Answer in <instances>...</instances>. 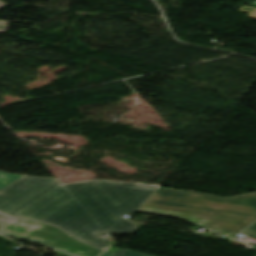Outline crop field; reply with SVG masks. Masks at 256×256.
I'll list each match as a JSON object with an SVG mask.
<instances>
[{
	"label": "crop field",
	"mask_w": 256,
	"mask_h": 256,
	"mask_svg": "<svg viewBox=\"0 0 256 256\" xmlns=\"http://www.w3.org/2000/svg\"><path fill=\"white\" fill-rule=\"evenodd\" d=\"M0 214L60 228L70 237L105 250L106 232L56 179L23 176L0 191Z\"/></svg>",
	"instance_id": "1"
},
{
	"label": "crop field",
	"mask_w": 256,
	"mask_h": 256,
	"mask_svg": "<svg viewBox=\"0 0 256 256\" xmlns=\"http://www.w3.org/2000/svg\"><path fill=\"white\" fill-rule=\"evenodd\" d=\"M137 211L175 216L235 235L256 219V193L222 199L159 188Z\"/></svg>",
	"instance_id": "2"
},
{
	"label": "crop field",
	"mask_w": 256,
	"mask_h": 256,
	"mask_svg": "<svg viewBox=\"0 0 256 256\" xmlns=\"http://www.w3.org/2000/svg\"><path fill=\"white\" fill-rule=\"evenodd\" d=\"M64 186L108 233L120 234L138 228L122 215L133 214L155 191L102 180Z\"/></svg>",
	"instance_id": "3"
},
{
	"label": "crop field",
	"mask_w": 256,
	"mask_h": 256,
	"mask_svg": "<svg viewBox=\"0 0 256 256\" xmlns=\"http://www.w3.org/2000/svg\"><path fill=\"white\" fill-rule=\"evenodd\" d=\"M0 233L38 241L79 256H97L103 251L70 238L56 227L23 218L14 221L0 215Z\"/></svg>",
	"instance_id": "4"
},
{
	"label": "crop field",
	"mask_w": 256,
	"mask_h": 256,
	"mask_svg": "<svg viewBox=\"0 0 256 256\" xmlns=\"http://www.w3.org/2000/svg\"><path fill=\"white\" fill-rule=\"evenodd\" d=\"M20 177L21 175L0 172V190Z\"/></svg>",
	"instance_id": "5"
},
{
	"label": "crop field",
	"mask_w": 256,
	"mask_h": 256,
	"mask_svg": "<svg viewBox=\"0 0 256 256\" xmlns=\"http://www.w3.org/2000/svg\"><path fill=\"white\" fill-rule=\"evenodd\" d=\"M113 256H147L133 251L120 248Z\"/></svg>",
	"instance_id": "6"
},
{
	"label": "crop field",
	"mask_w": 256,
	"mask_h": 256,
	"mask_svg": "<svg viewBox=\"0 0 256 256\" xmlns=\"http://www.w3.org/2000/svg\"><path fill=\"white\" fill-rule=\"evenodd\" d=\"M245 232L256 235V222L245 230Z\"/></svg>",
	"instance_id": "7"
},
{
	"label": "crop field",
	"mask_w": 256,
	"mask_h": 256,
	"mask_svg": "<svg viewBox=\"0 0 256 256\" xmlns=\"http://www.w3.org/2000/svg\"><path fill=\"white\" fill-rule=\"evenodd\" d=\"M116 183H121V182H116ZM122 184H128V185H133V186H138V187H143V188H159L160 186H147V185H141V184H132V183H122Z\"/></svg>",
	"instance_id": "8"
},
{
	"label": "crop field",
	"mask_w": 256,
	"mask_h": 256,
	"mask_svg": "<svg viewBox=\"0 0 256 256\" xmlns=\"http://www.w3.org/2000/svg\"><path fill=\"white\" fill-rule=\"evenodd\" d=\"M5 4L0 2V7L4 6ZM8 25L0 24V33H5Z\"/></svg>",
	"instance_id": "9"
},
{
	"label": "crop field",
	"mask_w": 256,
	"mask_h": 256,
	"mask_svg": "<svg viewBox=\"0 0 256 256\" xmlns=\"http://www.w3.org/2000/svg\"><path fill=\"white\" fill-rule=\"evenodd\" d=\"M54 255H58V256H71V255H68V254H65V253H61V252H58V251H55L53 252Z\"/></svg>",
	"instance_id": "10"
},
{
	"label": "crop field",
	"mask_w": 256,
	"mask_h": 256,
	"mask_svg": "<svg viewBox=\"0 0 256 256\" xmlns=\"http://www.w3.org/2000/svg\"><path fill=\"white\" fill-rule=\"evenodd\" d=\"M112 253L105 251L101 256H111Z\"/></svg>",
	"instance_id": "11"
}]
</instances>
